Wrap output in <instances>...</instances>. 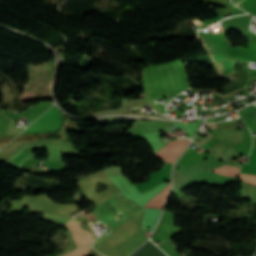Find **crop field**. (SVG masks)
Returning <instances> with one entry per match:
<instances>
[{
  "label": "crop field",
  "instance_id": "obj_4",
  "mask_svg": "<svg viewBox=\"0 0 256 256\" xmlns=\"http://www.w3.org/2000/svg\"><path fill=\"white\" fill-rule=\"evenodd\" d=\"M67 225L74 235L79 247L83 245H91L94 239L89 231L80 228V224L76 222L70 221Z\"/></svg>",
  "mask_w": 256,
  "mask_h": 256
},
{
  "label": "crop field",
  "instance_id": "obj_1",
  "mask_svg": "<svg viewBox=\"0 0 256 256\" xmlns=\"http://www.w3.org/2000/svg\"><path fill=\"white\" fill-rule=\"evenodd\" d=\"M172 121H142L137 120L128 129V133L132 134L136 138L138 136L154 132L156 130L169 131Z\"/></svg>",
  "mask_w": 256,
  "mask_h": 256
},
{
  "label": "crop field",
  "instance_id": "obj_9",
  "mask_svg": "<svg viewBox=\"0 0 256 256\" xmlns=\"http://www.w3.org/2000/svg\"><path fill=\"white\" fill-rule=\"evenodd\" d=\"M91 253H93L95 256H103V255L97 253L96 251H94L93 249L91 250Z\"/></svg>",
  "mask_w": 256,
  "mask_h": 256
},
{
  "label": "crop field",
  "instance_id": "obj_5",
  "mask_svg": "<svg viewBox=\"0 0 256 256\" xmlns=\"http://www.w3.org/2000/svg\"><path fill=\"white\" fill-rule=\"evenodd\" d=\"M209 171L216 173V174L223 175V176H227V177H235V175H239V173H240L239 172L240 170L231 168V166H228V165L223 166L221 168L209 170ZM240 176L243 179V181L256 185V175L240 174Z\"/></svg>",
  "mask_w": 256,
  "mask_h": 256
},
{
  "label": "crop field",
  "instance_id": "obj_7",
  "mask_svg": "<svg viewBox=\"0 0 256 256\" xmlns=\"http://www.w3.org/2000/svg\"><path fill=\"white\" fill-rule=\"evenodd\" d=\"M90 249L91 247L86 246L64 256H85L89 254Z\"/></svg>",
  "mask_w": 256,
  "mask_h": 256
},
{
  "label": "crop field",
  "instance_id": "obj_3",
  "mask_svg": "<svg viewBox=\"0 0 256 256\" xmlns=\"http://www.w3.org/2000/svg\"><path fill=\"white\" fill-rule=\"evenodd\" d=\"M171 167H172L171 165L165 163V165L159 171H157L156 173L150 174L149 181H147L143 184H137L135 186L138 188V190L142 194V193L158 186L159 184H161L164 181V179H168L171 181V177H170Z\"/></svg>",
  "mask_w": 256,
  "mask_h": 256
},
{
  "label": "crop field",
  "instance_id": "obj_8",
  "mask_svg": "<svg viewBox=\"0 0 256 256\" xmlns=\"http://www.w3.org/2000/svg\"><path fill=\"white\" fill-rule=\"evenodd\" d=\"M13 124H14V121L10 120L6 134H17L22 130L20 128H14Z\"/></svg>",
  "mask_w": 256,
  "mask_h": 256
},
{
  "label": "crop field",
  "instance_id": "obj_2",
  "mask_svg": "<svg viewBox=\"0 0 256 256\" xmlns=\"http://www.w3.org/2000/svg\"><path fill=\"white\" fill-rule=\"evenodd\" d=\"M181 231L179 228L173 226V213L165 212L158 228L153 236L154 241L161 240L162 242L170 239L177 232Z\"/></svg>",
  "mask_w": 256,
  "mask_h": 256
},
{
  "label": "crop field",
  "instance_id": "obj_6",
  "mask_svg": "<svg viewBox=\"0 0 256 256\" xmlns=\"http://www.w3.org/2000/svg\"><path fill=\"white\" fill-rule=\"evenodd\" d=\"M170 184L159 194H157L154 198L151 199L149 203L145 207H157L162 208L166 197L168 195Z\"/></svg>",
  "mask_w": 256,
  "mask_h": 256
}]
</instances>
